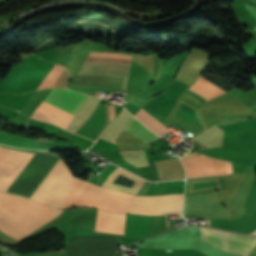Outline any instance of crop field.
Returning <instances> with one entry per match:
<instances>
[{"label":"crop field","instance_id":"crop-field-1","mask_svg":"<svg viewBox=\"0 0 256 256\" xmlns=\"http://www.w3.org/2000/svg\"><path fill=\"white\" fill-rule=\"evenodd\" d=\"M62 211L34 200L0 192V230L19 240Z\"/></svg>","mask_w":256,"mask_h":256},{"label":"crop field","instance_id":"crop-field-2","mask_svg":"<svg viewBox=\"0 0 256 256\" xmlns=\"http://www.w3.org/2000/svg\"><path fill=\"white\" fill-rule=\"evenodd\" d=\"M130 57V55L120 53L90 52L86 62H101L129 65ZM101 63H85L82 70L80 69L81 71L78 74H97L127 77L129 66ZM97 75H77L70 85L124 88L127 80V78Z\"/></svg>","mask_w":256,"mask_h":256},{"label":"crop field","instance_id":"crop-field-3","mask_svg":"<svg viewBox=\"0 0 256 256\" xmlns=\"http://www.w3.org/2000/svg\"><path fill=\"white\" fill-rule=\"evenodd\" d=\"M133 195L102 188L76 179L62 208L89 205L99 209L127 213Z\"/></svg>","mask_w":256,"mask_h":256},{"label":"crop field","instance_id":"crop-field-4","mask_svg":"<svg viewBox=\"0 0 256 256\" xmlns=\"http://www.w3.org/2000/svg\"><path fill=\"white\" fill-rule=\"evenodd\" d=\"M85 96L86 94L74 91L53 89L44 100L75 114ZM45 101H42L32 117L54 123L65 129L71 121L73 114Z\"/></svg>","mask_w":256,"mask_h":256},{"label":"crop field","instance_id":"crop-field-5","mask_svg":"<svg viewBox=\"0 0 256 256\" xmlns=\"http://www.w3.org/2000/svg\"><path fill=\"white\" fill-rule=\"evenodd\" d=\"M75 180L69 168L60 158L31 198L62 207Z\"/></svg>","mask_w":256,"mask_h":256},{"label":"crop field","instance_id":"crop-field-6","mask_svg":"<svg viewBox=\"0 0 256 256\" xmlns=\"http://www.w3.org/2000/svg\"><path fill=\"white\" fill-rule=\"evenodd\" d=\"M205 102V100L187 90L179 99L176 107L182 109L183 111L189 113L190 115L196 117L197 119L201 120L199 113H198V108ZM148 114H150L153 118H155L157 121H159L162 125H164L166 128L169 127L168 124L176 127L177 129H181L183 128L185 132H187L188 134H190L192 137L198 135L199 133H201L202 131H204V129L196 126L195 124L187 121L186 119L171 113L170 116L167 118V123L166 124V117H163L161 115L152 113L150 111L145 110ZM202 121V120H201Z\"/></svg>","mask_w":256,"mask_h":256},{"label":"crop field","instance_id":"crop-field-7","mask_svg":"<svg viewBox=\"0 0 256 256\" xmlns=\"http://www.w3.org/2000/svg\"><path fill=\"white\" fill-rule=\"evenodd\" d=\"M183 194L165 196H136L128 213L158 215L181 214Z\"/></svg>","mask_w":256,"mask_h":256},{"label":"crop field","instance_id":"crop-field-8","mask_svg":"<svg viewBox=\"0 0 256 256\" xmlns=\"http://www.w3.org/2000/svg\"><path fill=\"white\" fill-rule=\"evenodd\" d=\"M201 237L207 244L242 256H247L256 245V238L208 228L201 229Z\"/></svg>","mask_w":256,"mask_h":256},{"label":"crop field","instance_id":"crop-field-9","mask_svg":"<svg viewBox=\"0 0 256 256\" xmlns=\"http://www.w3.org/2000/svg\"><path fill=\"white\" fill-rule=\"evenodd\" d=\"M192 153L194 152H191L189 154H192ZM197 157L203 167L205 176H220V175L229 174L230 164L227 163L226 161H220V160H217L205 155H201V154H197ZM197 157L196 155H194V156L181 159L187 171V178L204 176L202 167Z\"/></svg>","mask_w":256,"mask_h":256},{"label":"crop field","instance_id":"crop-field-10","mask_svg":"<svg viewBox=\"0 0 256 256\" xmlns=\"http://www.w3.org/2000/svg\"><path fill=\"white\" fill-rule=\"evenodd\" d=\"M125 214L98 209L96 231L123 234Z\"/></svg>","mask_w":256,"mask_h":256},{"label":"crop field","instance_id":"crop-field-11","mask_svg":"<svg viewBox=\"0 0 256 256\" xmlns=\"http://www.w3.org/2000/svg\"><path fill=\"white\" fill-rule=\"evenodd\" d=\"M100 100V98L87 95L81 108L75 114L74 118L72 119L66 130L75 133L81 127V125L88 120L89 116L92 115L94 110L97 108Z\"/></svg>","mask_w":256,"mask_h":256},{"label":"crop field","instance_id":"crop-field-12","mask_svg":"<svg viewBox=\"0 0 256 256\" xmlns=\"http://www.w3.org/2000/svg\"><path fill=\"white\" fill-rule=\"evenodd\" d=\"M132 118L133 117L124 109L118 118L108 126L101 138L116 143L115 140L117 136L124 130Z\"/></svg>","mask_w":256,"mask_h":256},{"label":"crop field","instance_id":"crop-field-13","mask_svg":"<svg viewBox=\"0 0 256 256\" xmlns=\"http://www.w3.org/2000/svg\"><path fill=\"white\" fill-rule=\"evenodd\" d=\"M223 135H224V131L214 126L207 129L204 133L200 134L194 139H196L206 148L219 147V146H222Z\"/></svg>","mask_w":256,"mask_h":256},{"label":"crop field","instance_id":"crop-field-14","mask_svg":"<svg viewBox=\"0 0 256 256\" xmlns=\"http://www.w3.org/2000/svg\"><path fill=\"white\" fill-rule=\"evenodd\" d=\"M131 134L132 136L136 137L142 142H150L154 139H157L155 134L148 131L140 122H138L135 118L128 124L126 129L124 130Z\"/></svg>","mask_w":256,"mask_h":256},{"label":"crop field","instance_id":"crop-field-15","mask_svg":"<svg viewBox=\"0 0 256 256\" xmlns=\"http://www.w3.org/2000/svg\"><path fill=\"white\" fill-rule=\"evenodd\" d=\"M120 153L124 160H126L136 166L149 165L143 150L125 151V152H120Z\"/></svg>","mask_w":256,"mask_h":256},{"label":"crop field","instance_id":"crop-field-16","mask_svg":"<svg viewBox=\"0 0 256 256\" xmlns=\"http://www.w3.org/2000/svg\"><path fill=\"white\" fill-rule=\"evenodd\" d=\"M22 151L11 149L7 156L3 159L0 163V180L8 171V169L12 166L18 156L21 154Z\"/></svg>","mask_w":256,"mask_h":256},{"label":"crop field","instance_id":"crop-field-17","mask_svg":"<svg viewBox=\"0 0 256 256\" xmlns=\"http://www.w3.org/2000/svg\"><path fill=\"white\" fill-rule=\"evenodd\" d=\"M109 109H110V118H111V121H112L115 118L114 107L109 106Z\"/></svg>","mask_w":256,"mask_h":256},{"label":"crop field","instance_id":"crop-field-18","mask_svg":"<svg viewBox=\"0 0 256 256\" xmlns=\"http://www.w3.org/2000/svg\"><path fill=\"white\" fill-rule=\"evenodd\" d=\"M253 234H256V232H254Z\"/></svg>","mask_w":256,"mask_h":256},{"label":"crop field","instance_id":"crop-field-19","mask_svg":"<svg viewBox=\"0 0 256 256\" xmlns=\"http://www.w3.org/2000/svg\"><path fill=\"white\" fill-rule=\"evenodd\" d=\"M114 172V171H113Z\"/></svg>","mask_w":256,"mask_h":256}]
</instances>
